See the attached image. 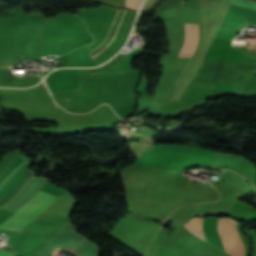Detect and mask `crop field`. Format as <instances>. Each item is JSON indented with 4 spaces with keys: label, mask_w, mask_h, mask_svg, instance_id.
Here are the masks:
<instances>
[{
    "label": "crop field",
    "mask_w": 256,
    "mask_h": 256,
    "mask_svg": "<svg viewBox=\"0 0 256 256\" xmlns=\"http://www.w3.org/2000/svg\"><path fill=\"white\" fill-rule=\"evenodd\" d=\"M256 63L202 62L193 79L250 80ZM248 81L191 80L180 100L205 101L211 91L241 86Z\"/></svg>",
    "instance_id": "crop-field-1"
},
{
    "label": "crop field",
    "mask_w": 256,
    "mask_h": 256,
    "mask_svg": "<svg viewBox=\"0 0 256 256\" xmlns=\"http://www.w3.org/2000/svg\"><path fill=\"white\" fill-rule=\"evenodd\" d=\"M57 198L40 190L31 200L18 209L12 217L2 223L0 228L14 231L21 230Z\"/></svg>",
    "instance_id": "crop-field-2"
},
{
    "label": "crop field",
    "mask_w": 256,
    "mask_h": 256,
    "mask_svg": "<svg viewBox=\"0 0 256 256\" xmlns=\"http://www.w3.org/2000/svg\"><path fill=\"white\" fill-rule=\"evenodd\" d=\"M225 219V218H224ZM186 229L191 232L192 234L200 237L204 240L203 232H202V219L201 218H194L190 222L184 225ZM225 227L227 230V234L231 243V246L233 248V256H243L244 253V245L237 233L236 227H235V221L231 220L229 218L225 219ZM218 230L219 234L222 240V244L224 247L225 252L231 255L230 253V246L224 231L223 227V218H218Z\"/></svg>",
    "instance_id": "crop-field-3"
},
{
    "label": "crop field",
    "mask_w": 256,
    "mask_h": 256,
    "mask_svg": "<svg viewBox=\"0 0 256 256\" xmlns=\"http://www.w3.org/2000/svg\"><path fill=\"white\" fill-rule=\"evenodd\" d=\"M176 38L178 57H192L198 42V25L178 23Z\"/></svg>",
    "instance_id": "crop-field-4"
},
{
    "label": "crop field",
    "mask_w": 256,
    "mask_h": 256,
    "mask_svg": "<svg viewBox=\"0 0 256 256\" xmlns=\"http://www.w3.org/2000/svg\"><path fill=\"white\" fill-rule=\"evenodd\" d=\"M26 166L27 161L24 160L22 157L18 156L0 180V193L20 174V172ZM32 175L33 174L29 171L18 183V185L14 188V190L5 199L0 201V206L4 205L9 200H11L15 196V194L20 191V189Z\"/></svg>",
    "instance_id": "crop-field-5"
},
{
    "label": "crop field",
    "mask_w": 256,
    "mask_h": 256,
    "mask_svg": "<svg viewBox=\"0 0 256 256\" xmlns=\"http://www.w3.org/2000/svg\"><path fill=\"white\" fill-rule=\"evenodd\" d=\"M125 12L126 11L121 10V9L118 10V12L114 18L112 27H111L108 35L106 36V38L104 39V41L101 43V45L97 49L90 52L91 57L93 59L95 57H97L101 52H103L107 47H109L114 42Z\"/></svg>",
    "instance_id": "crop-field-6"
},
{
    "label": "crop field",
    "mask_w": 256,
    "mask_h": 256,
    "mask_svg": "<svg viewBox=\"0 0 256 256\" xmlns=\"http://www.w3.org/2000/svg\"><path fill=\"white\" fill-rule=\"evenodd\" d=\"M124 58L125 57L118 54L115 58H113L112 60H110L106 64L101 65V66L96 67V68H92L91 71H92V73L104 71L106 69H109V68L115 66L118 62H120Z\"/></svg>",
    "instance_id": "crop-field-7"
},
{
    "label": "crop field",
    "mask_w": 256,
    "mask_h": 256,
    "mask_svg": "<svg viewBox=\"0 0 256 256\" xmlns=\"http://www.w3.org/2000/svg\"><path fill=\"white\" fill-rule=\"evenodd\" d=\"M142 0H126V8L130 10H138Z\"/></svg>",
    "instance_id": "crop-field-8"
},
{
    "label": "crop field",
    "mask_w": 256,
    "mask_h": 256,
    "mask_svg": "<svg viewBox=\"0 0 256 256\" xmlns=\"http://www.w3.org/2000/svg\"><path fill=\"white\" fill-rule=\"evenodd\" d=\"M238 88H234V89H230V90H225V91L211 92L209 97H208V99L209 98H213V97H218V96L230 94V93H232L233 91H235Z\"/></svg>",
    "instance_id": "crop-field-9"
},
{
    "label": "crop field",
    "mask_w": 256,
    "mask_h": 256,
    "mask_svg": "<svg viewBox=\"0 0 256 256\" xmlns=\"http://www.w3.org/2000/svg\"><path fill=\"white\" fill-rule=\"evenodd\" d=\"M0 249H5V250H8V251L16 253V251H13L11 249L5 248L3 246H0ZM8 251L0 250V256H14V253H11V252H8Z\"/></svg>",
    "instance_id": "crop-field-10"
},
{
    "label": "crop field",
    "mask_w": 256,
    "mask_h": 256,
    "mask_svg": "<svg viewBox=\"0 0 256 256\" xmlns=\"http://www.w3.org/2000/svg\"><path fill=\"white\" fill-rule=\"evenodd\" d=\"M190 59H191V58H189V60H188V62H187V64H186V66H185V68H184V70H183V72H182V74H181V76H180V78H179V80L181 79L183 73H184L185 70L187 69V67H188V65H189V62H190ZM179 80H178V82H179ZM178 82H177V84H178ZM177 84H176V86H177ZM174 86H175V85H174ZM176 86H175V88H176ZM173 88H174V87H173Z\"/></svg>",
    "instance_id": "crop-field-11"
}]
</instances>
